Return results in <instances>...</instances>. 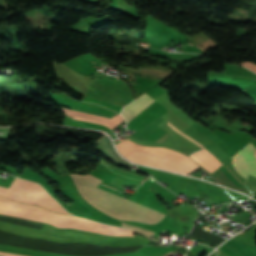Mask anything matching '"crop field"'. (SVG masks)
<instances>
[{"label":"crop field","mask_w":256,"mask_h":256,"mask_svg":"<svg viewBox=\"0 0 256 256\" xmlns=\"http://www.w3.org/2000/svg\"><path fill=\"white\" fill-rule=\"evenodd\" d=\"M60 110L64 114L77 115V116H81V117H85V118H89V119H93V120L105 121V120L109 119V118H105V117H101V116H97V115L86 114L83 112L72 111V110H67V109H63V108H60Z\"/></svg>","instance_id":"9"},{"label":"crop field","mask_w":256,"mask_h":256,"mask_svg":"<svg viewBox=\"0 0 256 256\" xmlns=\"http://www.w3.org/2000/svg\"><path fill=\"white\" fill-rule=\"evenodd\" d=\"M0 255H2V256H20V255H15V254L7 253V252H0Z\"/></svg>","instance_id":"11"},{"label":"crop field","mask_w":256,"mask_h":256,"mask_svg":"<svg viewBox=\"0 0 256 256\" xmlns=\"http://www.w3.org/2000/svg\"><path fill=\"white\" fill-rule=\"evenodd\" d=\"M169 126H171L168 123ZM174 130H176L181 135L185 136L195 144L201 146L203 150L194 152L190 157L195 160L197 163H199L203 168H205L209 172L215 171L219 166L222 165V163L214 157L205 147H203L201 144L197 143L196 141L192 140L191 138L187 137L177 129H175L173 126H171Z\"/></svg>","instance_id":"6"},{"label":"crop field","mask_w":256,"mask_h":256,"mask_svg":"<svg viewBox=\"0 0 256 256\" xmlns=\"http://www.w3.org/2000/svg\"><path fill=\"white\" fill-rule=\"evenodd\" d=\"M255 146L249 142L236 155L233 156V164L236 170L247 178L248 173L256 176V159L253 156Z\"/></svg>","instance_id":"5"},{"label":"crop field","mask_w":256,"mask_h":256,"mask_svg":"<svg viewBox=\"0 0 256 256\" xmlns=\"http://www.w3.org/2000/svg\"><path fill=\"white\" fill-rule=\"evenodd\" d=\"M254 155H255V157H256V151H255Z\"/></svg>","instance_id":"12"},{"label":"crop field","mask_w":256,"mask_h":256,"mask_svg":"<svg viewBox=\"0 0 256 256\" xmlns=\"http://www.w3.org/2000/svg\"><path fill=\"white\" fill-rule=\"evenodd\" d=\"M123 227L127 228V229H130L132 231H135L137 233H140V234H143L145 236H153L155 233L154 232H151L149 230H146V229H143V228H140V227H137V226H134V225H130V224H124L123 223Z\"/></svg>","instance_id":"10"},{"label":"crop field","mask_w":256,"mask_h":256,"mask_svg":"<svg viewBox=\"0 0 256 256\" xmlns=\"http://www.w3.org/2000/svg\"><path fill=\"white\" fill-rule=\"evenodd\" d=\"M0 214L37 220L60 228H76L113 236H131V231L73 216L51 213L41 207L24 205L0 197Z\"/></svg>","instance_id":"2"},{"label":"crop field","mask_w":256,"mask_h":256,"mask_svg":"<svg viewBox=\"0 0 256 256\" xmlns=\"http://www.w3.org/2000/svg\"><path fill=\"white\" fill-rule=\"evenodd\" d=\"M80 195L93 207L121 220H134L146 224L158 223L165 214L126 200L111 192L96 187L102 181L86 175L71 174Z\"/></svg>","instance_id":"1"},{"label":"crop field","mask_w":256,"mask_h":256,"mask_svg":"<svg viewBox=\"0 0 256 256\" xmlns=\"http://www.w3.org/2000/svg\"><path fill=\"white\" fill-rule=\"evenodd\" d=\"M190 44V43H189ZM191 45V44H190ZM193 46V45H192ZM194 47V46H193Z\"/></svg>","instance_id":"13"},{"label":"crop field","mask_w":256,"mask_h":256,"mask_svg":"<svg viewBox=\"0 0 256 256\" xmlns=\"http://www.w3.org/2000/svg\"><path fill=\"white\" fill-rule=\"evenodd\" d=\"M75 119H80V120H84V121H89V122H94V123H98V124H102L105 125L107 127H109L111 130H113L117 125H119L124 118L121 115H117L116 117L106 121V122H98V121H91V120H85V119H81V118H77L74 117Z\"/></svg>","instance_id":"8"},{"label":"crop field","mask_w":256,"mask_h":256,"mask_svg":"<svg viewBox=\"0 0 256 256\" xmlns=\"http://www.w3.org/2000/svg\"><path fill=\"white\" fill-rule=\"evenodd\" d=\"M152 101L153 99L150 96H148L146 93H144L134 102L127 105L122 111V115L125 117L126 121H129Z\"/></svg>","instance_id":"7"},{"label":"crop field","mask_w":256,"mask_h":256,"mask_svg":"<svg viewBox=\"0 0 256 256\" xmlns=\"http://www.w3.org/2000/svg\"><path fill=\"white\" fill-rule=\"evenodd\" d=\"M143 151L197 165L189 157L184 156L179 152L169 150L163 147H150ZM145 152L139 151L129 155L127 158L139 163L147 164L150 166H154V167H158V168H162V169H166V170H170V171H174V172H178L186 175H188L189 173L193 172L198 168V166L155 156Z\"/></svg>","instance_id":"4"},{"label":"crop field","mask_w":256,"mask_h":256,"mask_svg":"<svg viewBox=\"0 0 256 256\" xmlns=\"http://www.w3.org/2000/svg\"><path fill=\"white\" fill-rule=\"evenodd\" d=\"M0 196L70 215L57 201L47 194L42 186L33 182L15 178L9 189L0 187Z\"/></svg>","instance_id":"3"},{"label":"crop field","mask_w":256,"mask_h":256,"mask_svg":"<svg viewBox=\"0 0 256 256\" xmlns=\"http://www.w3.org/2000/svg\"><path fill=\"white\" fill-rule=\"evenodd\" d=\"M103 185V184H102Z\"/></svg>","instance_id":"14"}]
</instances>
